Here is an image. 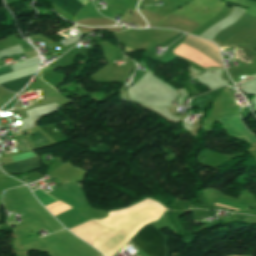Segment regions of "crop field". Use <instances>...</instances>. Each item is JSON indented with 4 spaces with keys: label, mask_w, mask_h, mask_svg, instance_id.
<instances>
[{
    "label": "crop field",
    "mask_w": 256,
    "mask_h": 256,
    "mask_svg": "<svg viewBox=\"0 0 256 256\" xmlns=\"http://www.w3.org/2000/svg\"><path fill=\"white\" fill-rule=\"evenodd\" d=\"M151 223L141 228L131 239L149 256H165L166 245L164 237Z\"/></svg>",
    "instance_id": "1"
},
{
    "label": "crop field",
    "mask_w": 256,
    "mask_h": 256,
    "mask_svg": "<svg viewBox=\"0 0 256 256\" xmlns=\"http://www.w3.org/2000/svg\"><path fill=\"white\" fill-rule=\"evenodd\" d=\"M219 121L223 125L226 134L238 138L244 137L249 143L256 142V137L244 128L235 115L220 118Z\"/></svg>",
    "instance_id": "2"
},
{
    "label": "crop field",
    "mask_w": 256,
    "mask_h": 256,
    "mask_svg": "<svg viewBox=\"0 0 256 256\" xmlns=\"http://www.w3.org/2000/svg\"><path fill=\"white\" fill-rule=\"evenodd\" d=\"M2 170L5 173H12V174H22L25 172L37 170L40 168V159L39 156L35 158H31L16 164L8 165V166H1Z\"/></svg>",
    "instance_id": "3"
},
{
    "label": "crop field",
    "mask_w": 256,
    "mask_h": 256,
    "mask_svg": "<svg viewBox=\"0 0 256 256\" xmlns=\"http://www.w3.org/2000/svg\"><path fill=\"white\" fill-rule=\"evenodd\" d=\"M51 1L61 9L71 14L72 16H75V14L79 11V9L82 6H84L78 0H51Z\"/></svg>",
    "instance_id": "4"
},
{
    "label": "crop field",
    "mask_w": 256,
    "mask_h": 256,
    "mask_svg": "<svg viewBox=\"0 0 256 256\" xmlns=\"http://www.w3.org/2000/svg\"><path fill=\"white\" fill-rule=\"evenodd\" d=\"M34 74L19 78V79H15L3 84H0L1 86H3L5 89L13 91L15 93H17L19 90H21L30 80L31 77H33Z\"/></svg>",
    "instance_id": "5"
},
{
    "label": "crop field",
    "mask_w": 256,
    "mask_h": 256,
    "mask_svg": "<svg viewBox=\"0 0 256 256\" xmlns=\"http://www.w3.org/2000/svg\"><path fill=\"white\" fill-rule=\"evenodd\" d=\"M21 134V133H20ZM19 135V134H18ZM17 136V135H16ZM17 139L21 142L19 144H17V147L19 149L20 152L22 151H26L29 150V144L27 142V140L25 139V137L23 136V134L17 136Z\"/></svg>",
    "instance_id": "6"
},
{
    "label": "crop field",
    "mask_w": 256,
    "mask_h": 256,
    "mask_svg": "<svg viewBox=\"0 0 256 256\" xmlns=\"http://www.w3.org/2000/svg\"><path fill=\"white\" fill-rule=\"evenodd\" d=\"M6 70H10V67L9 66H4V67L0 68V72L6 71ZM9 72H12V70L0 73V75L6 74V73H9Z\"/></svg>",
    "instance_id": "7"
},
{
    "label": "crop field",
    "mask_w": 256,
    "mask_h": 256,
    "mask_svg": "<svg viewBox=\"0 0 256 256\" xmlns=\"http://www.w3.org/2000/svg\"><path fill=\"white\" fill-rule=\"evenodd\" d=\"M208 217H211V216L197 217V218H195V219H196V220H199V219H206V218H208Z\"/></svg>",
    "instance_id": "8"
},
{
    "label": "crop field",
    "mask_w": 256,
    "mask_h": 256,
    "mask_svg": "<svg viewBox=\"0 0 256 256\" xmlns=\"http://www.w3.org/2000/svg\"><path fill=\"white\" fill-rule=\"evenodd\" d=\"M217 206H222V205H218L216 204ZM222 207H227V206H222ZM227 208H231V207H227ZM233 209H236V208H233ZM237 210H240V209H237Z\"/></svg>",
    "instance_id": "9"
},
{
    "label": "crop field",
    "mask_w": 256,
    "mask_h": 256,
    "mask_svg": "<svg viewBox=\"0 0 256 256\" xmlns=\"http://www.w3.org/2000/svg\"><path fill=\"white\" fill-rule=\"evenodd\" d=\"M75 228V227H74ZM74 228L70 229V231L72 232L74 230Z\"/></svg>",
    "instance_id": "10"
},
{
    "label": "crop field",
    "mask_w": 256,
    "mask_h": 256,
    "mask_svg": "<svg viewBox=\"0 0 256 256\" xmlns=\"http://www.w3.org/2000/svg\"><path fill=\"white\" fill-rule=\"evenodd\" d=\"M47 194V193H46ZM50 196V195H49ZM55 199V198H54Z\"/></svg>",
    "instance_id": "11"
}]
</instances>
